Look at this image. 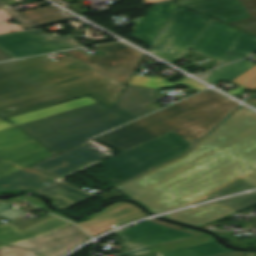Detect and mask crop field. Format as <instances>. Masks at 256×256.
<instances>
[{"mask_svg":"<svg viewBox=\"0 0 256 256\" xmlns=\"http://www.w3.org/2000/svg\"><path fill=\"white\" fill-rule=\"evenodd\" d=\"M80 46L71 35L53 38L39 29L0 36V50L13 59Z\"/></svg>","mask_w":256,"mask_h":256,"instance_id":"5a996713","label":"crop field"},{"mask_svg":"<svg viewBox=\"0 0 256 256\" xmlns=\"http://www.w3.org/2000/svg\"><path fill=\"white\" fill-rule=\"evenodd\" d=\"M230 83L236 86H239L241 88L255 92L256 91V67L247 71L246 73L234 79Z\"/></svg>","mask_w":256,"mask_h":256,"instance_id":"d3111659","label":"crop field"},{"mask_svg":"<svg viewBox=\"0 0 256 256\" xmlns=\"http://www.w3.org/2000/svg\"><path fill=\"white\" fill-rule=\"evenodd\" d=\"M121 117L97 103L22 124L21 127L48 147Z\"/></svg>","mask_w":256,"mask_h":256,"instance_id":"f4fd0767","label":"crop field"},{"mask_svg":"<svg viewBox=\"0 0 256 256\" xmlns=\"http://www.w3.org/2000/svg\"><path fill=\"white\" fill-rule=\"evenodd\" d=\"M255 52L256 37L243 32V34L238 39L237 44L234 45L230 51H228V53L217 66L251 55Z\"/></svg>","mask_w":256,"mask_h":256,"instance_id":"4177f3b9","label":"crop field"},{"mask_svg":"<svg viewBox=\"0 0 256 256\" xmlns=\"http://www.w3.org/2000/svg\"><path fill=\"white\" fill-rule=\"evenodd\" d=\"M131 251L117 253L135 256L154 252L157 256H216L231 252L196 230L155 219L114 233Z\"/></svg>","mask_w":256,"mask_h":256,"instance_id":"412701ff","label":"crop field"},{"mask_svg":"<svg viewBox=\"0 0 256 256\" xmlns=\"http://www.w3.org/2000/svg\"><path fill=\"white\" fill-rule=\"evenodd\" d=\"M255 65L242 60L212 71L205 82L213 85L221 81L229 82Z\"/></svg>","mask_w":256,"mask_h":256,"instance_id":"a9b5d70f","label":"crop field"},{"mask_svg":"<svg viewBox=\"0 0 256 256\" xmlns=\"http://www.w3.org/2000/svg\"><path fill=\"white\" fill-rule=\"evenodd\" d=\"M27 201L30 202V203H32V204H34V205H36V206H38V207H40V208H42V209H44V210H46V211H48V212H50V213H52V214H55V215H58V216H60V217L66 218V217H64L62 214L55 213V212H53V211L47 209V208L45 207V205L43 204V202H42L40 199L36 198V197L29 196L28 199H27ZM66 219H68V218H66ZM68 220H70V221H72V222H75V220H71V219H68Z\"/></svg>","mask_w":256,"mask_h":256,"instance_id":"d32e631a","label":"crop field"},{"mask_svg":"<svg viewBox=\"0 0 256 256\" xmlns=\"http://www.w3.org/2000/svg\"><path fill=\"white\" fill-rule=\"evenodd\" d=\"M57 178L27 167L0 179V194L26 193Z\"/></svg>","mask_w":256,"mask_h":256,"instance_id":"bc2a9ffb","label":"crop field"},{"mask_svg":"<svg viewBox=\"0 0 256 256\" xmlns=\"http://www.w3.org/2000/svg\"><path fill=\"white\" fill-rule=\"evenodd\" d=\"M32 140L33 139L16 127L0 131V152Z\"/></svg>","mask_w":256,"mask_h":256,"instance_id":"eef30255","label":"crop field"},{"mask_svg":"<svg viewBox=\"0 0 256 256\" xmlns=\"http://www.w3.org/2000/svg\"><path fill=\"white\" fill-rule=\"evenodd\" d=\"M180 6L219 19L225 23L248 18L238 0H177Z\"/></svg>","mask_w":256,"mask_h":256,"instance_id":"cbeb9de0","label":"crop field"},{"mask_svg":"<svg viewBox=\"0 0 256 256\" xmlns=\"http://www.w3.org/2000/svg\"><path fill=\"white\" fill-rule=\"evenodd\" d=\"M93 103H97V102L94 101L93 99L85 96V97L75 99V100H72V101H69V102H66V103H62V104L50 106V107H47V108L27 112V113H24V114L12 116V117H9L8 120L15 123L16 125H19V124H22V123H26V122L33 121V120H36V119L44 118V117L51 116V115H54V114H58V113H61V112H65V111H68V110L76 109V108L83 107V106H86V105H90V104H93ZM10 127H14V126L11 125L10 123L6 122L3 119L0 120V130L7 129V128H10Z\"/></svg>","mask_w":256,"mask_h":256,"instance_id":"92a150f3","label":"crop field"},{"mask_svg":"<svg viewBox=\"0 0 256 256\" xmlns=\"http://www.w3.org/2000/svg\"><path fill=\"white\" fill-rule=\"evenodd\" d=\"M164 95L165 94L158 93L151 89L126 85L125 89L114 104L113 110L124 115L126 119L131 121L154 111L143 104Z\"/></svg>","mask_w":256,"mask_h":256,"instance_id":"d9b57169","label":"crop field"},{"mask_svg":"<svg viewBox=\"0 0 256 256\" xmlns=\"http://www.w3.org/2000/svg\"><path fill=\"white\" fill-rule=\"evenodd\" d=\"M34 192L52 199L55 206L64 210L96 196L59 182H55Z\"/></svg>","mask_w":256,"mask_h":256,"instance_id":"214f88e0","label":"crop field"},{"mask_svg":"<svg viewBox=\"0 0 256 256\" xmlns=\"http://www.w3.org/2000/svg\"><path fill=\"white\" fill-rule=\"evenodd\" d=\"M106 158L108 157L80 145L30 167L57 178H62L98 163Z\"/></svg>","mask_w":256,"mask_h":256,"instance_id":"28ad6ade","label":"crop field"},{"mask_svg":"<svg viewBox=\"0 0 256 256\" xmlns=\"http://www.w3.org/2000/svg\"><path fill=\"white\" fill-rule=\"evenodd\" d=\"M124 87L72 57L53 62L42 55L0 63V116L5 118L85 95L112 107Z\"/></svg>","mask_w":256,"mask_h":256,"instance_id":"ac0d7876","label":"crop field"},{"mask_svg":"<svg viewBox=\"0 0 256 256\" xmlns=\"http://www.w3.org/2000/svg\"><path fill=\"white\" fill-rule=\"evenodd\" d=\"M242 32L212 20L190 49L220 62Z\"/></svg>","mask_w":256,"mask_h":256,"instance_id":"d1516ede","label":"crop field"},{"mask_svg":"<svg viewBox=\"0 0 256 256\" xmlns=\"http://www.w3.org/2000/svg\"><path fill=\"white\" fill-rule=\"evenodd\" d=\"M11 60L10 57L0 51V61Z\"/></svg>","mask_w":256,"mask_h":256,"instance_id":"e1f06a70","label":"crop field"},{"mask_svg":"<svg viewBox=\"0 0 256 256\" xmlns=\"http://www.w3.org/2000/svg\"><path fill=\"white\" fill-rule=\"evenodd\" d=\"M237 105L206 90L96 139L121 152L171 131L193 142Z\"/></svg>","mask_w":256,"mask_h":256,"instance_id":"34b2d1b8","label":"crop field"},{"mask_svg":"<svg viewBox=\"0 0 256 256\" xmlns=\"http://www.w3.org/2000/svg\"><path fill=\"white\" fill-rule=\"evenodd\" d=\"M50 156L47 149L35 141L0 153V177Z\"/></svg>","mask_w":256,"mask_h":256,"instance_id":"733c2abd","label":"crop field"},{"mask_svg":"<svg viewBox=\"0 0 256 256\" xmlns=\"http://www.w3.org/2000/svg\"><path fill=\"white\" fill-rule=\"evenodd\" d=\"M23 214H25V213L18 209L15 211L10 210L9 205L0 204V215H2L4 218H6L9 221H11Z\"/></svg>","mask_w":256,"mask_h":256,"instance_id":"120bbe31","label":"crop field"},{"mask_svg":"<svg viewBox=\"0 0 256 256\" xmlns=\"http://www.w3.org/2000/svg\"><path fill=\"white\" fill-rule=\"evenodd\" d=\"M210 21L184 9H177L150 51L174 64L183 57Z\"/></svg>","mask_w":256,"mask_h":256,"instance_id":"e52e79f7","label":"crop field"},{"mask_svg":"<svg viewBox=\"0 0 256 256\" xmlns=\"http://www.w3.org/2000/svg\"><path fill=\"white\" fill-rule=\"evenodd\" d=\"M254 254L255 253H243V252L233 251L231 253L220 255V256H250V255H254Z\"/></svg>","mask_w":256,"mask_h":256,"instance_id":"028f5c9d","label":"crop field"},{"mask_svg":"<svg viewBox=\"0 0 256 256\" xmlns=\"http://www.w3.org/2000/svg\"><path fill=\"white\" fill-rule=\"evenodd\" d=\"M256 169V114L236 110L186 156L119 187L153 212L201 200Z\"/></svg>","mask_w":256,"mask_h":256,"instance_id":"8a807250","label":"crop field"},{"mask_svg":"<svg viewBox=\"0 0 256 256\" xmlns=\"http://www.w3.org/2000/svg\"><path fill=\"white\" fill-rule=\"evenodd\" d=\"M96 48L107 54L90 57L79 50L66 53L125 85L144 56L121 42Z\"/></svg>","mask_w":256,"mask_h":256,"instance_id":"d8731c3e","label":"crop field"},{"mask_svg":"<svg viewBox=\"0 0 256 256\" xmlns=\"http://www.w3.org/2000/svg\"><path fill=\"white\" fill-rule=\"evenodd\" d=\"M87 239L89 237L81 229L72 225L37 239L0 249V256H60Z\"/></svg>","mask_w":256,"mask_h":256,"instance_id":"3316defc","label":"crop field"},{"mask_svg":"<svg viewBox=\"0 0 256 256\" xmlns=\"http://www.w3.org/2000/svg\"><path fill=\"white\" fill-rule=\"evenodd\" d=\"M157 1H163V0H144V4L152 3V2H157Z\"/></svg>","mask_w":256,"mask_h":256,"instance_id":"0bd39190","label":"crop field"},{"mask_svg":"<svg viewBox=\"0 0 256 256\" xmlns=\"http://www.w3.org/2000/svg\"><path fill=\"white\" fill-rule=\"evenodd\" d=\"M10 19H12V18L8 15V13L4 9H1L0 10V22L10 20ZM22 29L23 28L20 27L19 25H16V26H12L11 24L2 25L0 23V34L10 33V32H14V31L22 30Z\"/></svg>","mask_w":256,"mask_h":256,"instance_id":"1d83c4d3","label":"crop field"},{"mask_svg":"<svg viewBox=\"0 0 256 256\" xmlns=\"http://www.w3.org/2000/svg\"><path fill=\"white\" fill-rule=\"evenodd\" d=\"M6 7V5H4L1 1H0V8H4Z\"/></svg>","mask_w":256,"mask_h":256,"instance_id":"b80d0937","label":"crop field"},{"mask_svg":"<svg viewBox=\"0 0 256 256\" xmlns=\"http://www.w3.org/2000/svg\"><path fill=\"white\" fill-rule=\"evenodd\" d=\"M191 146V144L170 133L129 149L99 164L127 180L182 154Z\"/></svg>","mask_w":256,"mask_h":256,"instance_id":"dd49c442","label":"crop field"},{"mask_svg":"<svg viewBox=\"0 0 256 256\" xmlns=\"http://www.w3.org/2000/svg\"><path fill=\"white\" fill-rule=\"evenodd\" d=\"M241 179L249 182L250 184L256 186V170L253 171L252 173L242 177Z\"/></svg>","mask_w":256,"mask_h":256,"instance_id":"5866460e","label":"crop field"},{"mask_svg":"<svg viewBox=\"0 0 256 256\" xmlns=\"http://www.w3.org/2000/svg\"><path fill=\"white\" fill-rule=\"evenodd\" d=\"M250 188H254V186H252L249 183L240 179L237 182H235L234 184L218 191L217 193H215L209 197L213 198V197H217V196H221V195H225V194H229V193H233V192H237V191H242V190H246V189H250Z\"/></svg>","mask_w":256,"mask_h":256,"instance_id":"bd1437ed","label":"crop field"},{"mask_svg":"<svg viewBox=\"0 0 256 256\" xmlns=\"http://www.w3.org/2000/svg\"><path fill=\"white\" fill-rule=\"evenodd\" d=\"M146 216L132 204L120 202L111 205L104 211L89 216L91 219L78 223L92 236L102 233L115 226Z\"/></svg>","mask_w":256,"mask_h":256,"instance_id":"22f410ed","label":"crop field"},{"mask_svg":"<svg viewBox=\"0 0 256 256\" xmlns=\"http://www.w3.org/2000/svg\"><path fill=\"white\" fill-rule=\"evenodd\" d=\"M69 224L71 223L53 217L24 231L18 230L11 223L0 225V248L37 238Z\"/></svg>","mask_w":256,"mask_h":256,"instance_id":"4a817a6b","label":"crop field"},{"mask_svg":"<svg viewBox=\"0 0 256 256\" xmlns=\"http://www.w3.org/2000/svg\"><path fill=\"white\" fill-rule=\"evenodd\" d=\"M9 15L24 29L32 28L41 25L62 22L72 20L66 17L60 16L56 7H45L40 9H35L31 11L18 13L13 8H5Z\"/></svg>","mask_w":256,"mask_h":256,"instance_id":"dafd665d","label":"crop field"},{"mask_svg":"<svg viewBox=\"0 0 256 256\" xmlns=\"http://www.w3.org/2000/svg\"><path fill=\"white\" fill-rule=\"evenodd\" d=\"M250 18L228 23L231 26L239 28L243 31L256 35V0H239Z\"/></svg>","mask_w":256,"mask_h":256,"instance_id":"ae1a2a85","label":"crop field"},{"mask_svg":"<svg viewBox=\"0 0 256 256\" xmlns=\"http://www.w3.org/2000/svg\"><path fill=\"white\" fill-rule=\"evenodd\" d=\"M178 7L174 1L153 5L130 36L151 47Z\"/></svg>","mask_w":256,"mask_h":256,"instance_id":"5142ce71","label":"crop field"},{"mask_svg":"<svg viewBox=\"0 0 256 256\" xmlns=\"http://www.w3.org/2000/svg\"><path fill=\"white\" fill-rule=\"evenodd\" d=\"M254 256H256V255H254Z\"/></svg>","mask_w":256,"mask_h":256,"instance_id":"c035e120","label":"crop field"},{"mask_svg":"<svg viewBox=\"0 0 256 256\" xmlns=\"http://www.w3.org/2000/svg\"><path fill=\"white\" fill-rule=\"evenodd\" d=\"M221 203L239 211L241 209L256 204V193L228 199L225 201H221Z\"/></svg>","mask_w":256,"mask_h":256,"instance_id":"750c4746","label":"crop field"},{"mask_svg":"<svg viewBox=\"0 0 256 256\" xmlns=\"http://www.w3.org/2000/svg\"><path fill=\"white\" fill-rule=\"evenodd\" d=\"M0 119H2V118H0Z\"/></svg>","mask_w":256,"mask_h":256,"instance_id":"c21b1889","label":"crop field"},{"mask_svg":"<svg viewBox=\"0 0 256 256\" xmlns=\"http://www.w3.org/2000/svg\"><path fill=\"white\" fill-rule=\"evenodd\" d=\"M235 212L236 211L218 202L215 204L202 206L197 209L187 210L182 213L170 214L164 217L200 226Z\"/></svg>","mask_w":256,"mask_h":256,"instance_id":"00972430","label":"crop field"},{"mask_svg":"<svg viewBox=\"0 0 256 256\" xmlns=\"http://www.w3.org/2000/svg\"><path fill=\"white\" fill-rule=\"evenodd\" d=\"M126 122H128V120H126L125 118H121L119 120H116V121L111 122L109 124H106L104 126L98 127L96 129H93L91 131H88L86 133L78 135V136L73 137L71 139H68L66 141L60 142V143L55 144L53 146H50L48 148L50 150L56 152V153H59V152L65 150L67 148H70V147H72V146H74L76 144H79V143H82L84 141H87V140L91 139L92 137H94V136H96V135H98V134H100L102 132H105V131H107L109 129L117 127V126H119L121 124H124Z\"/></svg>","mask_w":256,"mask_h":256,"instance_id":"730fd06b","label":"crop field"}]
</instances>
